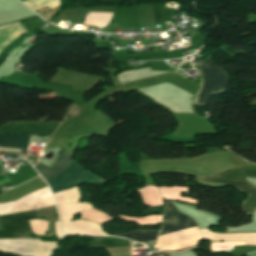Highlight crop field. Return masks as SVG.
<instances>
[{"label": "crop field", "mask_w": 256, "mask_h": 256, "mask_svg": "<svg viewBox=\"0 0 256 256\" xmlns=\"http://www.w3.org/2000/svg\"><path fill=\"white\" fill-rule=\"evenodd\" d=\"M30 136L0 134V147L28 149Z\"/></svg>", "instance_id": "crop-field-8"}, {"label": "crop field", "mask_w": 256, "mask_h": 256, "mask_svg": "<svg viewBox=\"0 0 256 256\" xmlns=\"http://www.w3.org/2000/svg\"><path fill=\"white\" fill-rule=\"evenodd\" d=\"M55 205L49 188L32 192L25 197L0 204V215L35 210ZM39 217V211H29L0 216L2 230L0 239L32 238L30 226L23 221L27 218ZM57 243L41 242L38 239L0 240V251L20 256H48Z\"/></svg>", "instance_id": "crop-field-1"}, {"label": "crop field", "mask_w": 256, "mask_h": 256, "mask_svg": "<svg viewBox=\"0 0 256 256\" xmlns=\"http://www.w3.org/2000/svg\"><path fill=\"white\" fill-rule=\"evenodd\" d=\"M158 232L159 231H156V230H139V231L127 232L122 235H118V234H114V235L125 237L135 241H156Z\"/></svg>", "instance_id": "crop-field-11"}, {"label": "crop field", "mask_w": 256, "mask_h": 256, "mask_svg": "<svg viewBox=\"0 0 256 256\" xmlns=\"http://www.w3.org/2000/svg\"><path fill=\"white\" fill-rule=\"evenodd\" d=\"M1 162V161H0ZM8 180H7V178H6V176H5V174H3V175H0V183H4V182H7Z\"/></svg>", "instance_id": "crop-field-14"}, {"label": "crop field", "mask_w": 256, "mask_h": 256, "mask_svg": "<svg viewBox=\"0 0 256 256\" xmlns=\"http://www.w3.org/2000/svg\"><path fill=\"white\" fill-rule=\"evenodd\" d=\"M59 125L55 122H13L0 126V132L51 136Z\"/></svg>", "instance_id": "crop-field-4"}, {"label": "crop field", "mask_w": 256, "mask_h": 256, "mask_svg": "<svg viewBox=\"0 0 256 256\" xmlns=\"http://www.w3.org/2000/svg\"><path fill=\"white\" fill-rule=\"evenodd\" d=\"M57 205L77 203L81 200L79 188H72L59 193H55Z\"/></svg>", "instance_id": "crop-field-10"}, {"label": "crop field", "mask_w": 256, "mask_h": 256, "mask_svg": "<svg viewBox=\"0 0 256 256\" xmlns=\"http://www.w3.org/2000/svg\"><path fill=\"white\" fill-rule=\"evenodd\" d=\"M165 202V214L160 235L197 225L191 218L178 214L174 205L168 200Z\"/></svg>", "instance_id": "crop-field-5"}, {"label": "crop field", "mask_w": 256, "mask_h": 256, "mask_svg": "<svg viewBox=\"0 0 256 256\" xmlns=\"http://www.w3.org/2000/svg\"><path fill=\"white\" fill-rule=\"evenodd\" d=\"M70 161L71 160L69 159V157L65 154L64 151H62L61 155L59 156L53 167L48 168L38 163L36 165V169L44 177V179L48 181L54 176L58 175L60 172H62L65 168H67Z\"/></svg>", "instance_id": "crop-field-7"}, {"label": "crop field", "mask_w": 256, "mask_h": 256, "mask_svg": "<svg viewBox=\"0 0 256 256\" xmlns=\"http://www.w3.org/2000/svg\"><path fill=\"white\" fill-rule=\"evenodd\" d=\"M63 231L66 234L80 235H107L101 230V227L95 223L86 221L61 222Z\"/></svg>", "instance_id": "crop-field-6"}, {"label": "crop field", "mask_w": 256, "mask_h": 256, "mask_svg": "<svg viewBox=\"0 0 256 256\" xmlns=\"http://www.w3.org/2000/svg\"><path fill=\"white\" fill-rule=\"evenodd\" d=\"M85 246L94 248L113 247V246H125L130 245L128 240L113 238V237H94L93 243H83Z\"/></svg>", "instance_id": "crop-field-9"}, {"label": "crop field", "mask_w": 256, "mask_h": 256, "mask_svg": "<svg viewBox=\"0 0 256 256\" xmlns=\"http://www.w3.org/2000/svg\"><path fill=\"white\" fill-rule=\"evenodd\" d=\"M246 176H256V170H245Z\"/></svg>", "instance_id": "crop-field-13"}, {"label": "crop field", "mask_w": 256, "mask_h": 256, "mask_svg": "<svg viewBox=\"0 0 256 256\" xmlns=\"http://www.w3.org/2000/svg\"><path fill=\"white\" fill-rule=\"evenodd\" d=\"M206 179L232 181V182H247L244 178L243 168H234ZM206 179H203L202 182L219 184V185H236L242 188L243 190L247 191L248 193H250L251 196L249 200L244 204V207L247 211H249L250 213H253L256 207V187L255 186L249 183H232V182H222V181H214V180H206Z\"/></svg>", "instance_id": "crop-field-3"}, {"label": "crop field", "mask_w": 256, "mask_h": 256, "mask_svg": "<svg viewBox=\"0 0 256 256\" xmlns=\"http://www.w3.org/2000/svg\"><path fill=\"white\" fill-rule=\"evenodd\" d=\"M202 72L203 87L196 100L197 105L205 106L212 95L223 93L228 88L229 79L211 63V56L199 67Z\"/></svg>", "instance_id": "crop-field-2"}, {"label": "crop field", "mask_w": 256, "mask_h": 256, "mask_svg": "<svg viewBox=\"0 0 256 256\" xmlns=\"http://www.w3.org/2000/svg\"><path fill=\"white\" fill-rule=\"evenodd\" d=\"M55 227H56V235H57L58 238L60 239L61 230H60V224H59V222H55Z\"/></svg>", "instance_id": "crop-field-12"}]
</instances>
